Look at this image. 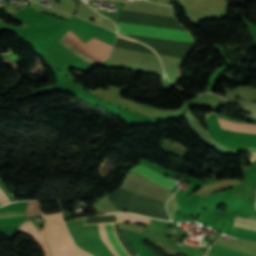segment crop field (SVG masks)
<instances>
[{"mask_svg":"<svg viewBox=\"0 0 256 256\" xmlns=\"http://www.w3.org/2000/svg\"><path fill=\"white\" fill-rule=\"evenodd\" d=\"M45 233L52 256H81L62 221V214L45 216Z\"/></svg>","mask_w":256,"mask_h":256,"instance_id":"1","label":"crop field"},{"mask_svg":"<svg viewBox=\"0 0 256 256\" xmlns=\"http://www.w3.org/2000/svg\"><path fill=\"white\" fill-rule=\"evenodd\" d=\"M121 33L194 43L187 30L118 21Z\"/></svg>","mask_w":256,"mask_h":256,"instance_id":"2","label":"crop field"},{"mask_svg":"<svg viewBox=\"0 0 256 256\" xmlns=\"http://www.w3.org/2000/svg\"><path fill=\"white\" fill-rule=\"evenodd\" d=\"M59 42L94 65L104 60L112 48L94 38L85 44L70 31Z\"/></svg>","mask_w":256,"mask_h":256,"instance_id":"3","label":"crop field"},{"mask_svg":"<svg viewBox=\"0 0 256 256\" xmlns=\"http://www.w3.org/2000/svg\"><path fill=\"white\" fill-rule=\"evenodd\" d=\"M236 227L256 231V221L236 216ZM234 227L233 237L242 238L256 242V232Z\"/></svg>","mask_w":256,"mask_h":256,"instance_id":"4","label":"crop field"},{"mask_svg":"<svg viewBox=\"0 0 256 256\" xmlns=\"http://www.w3.org/2000/svg\"><path fill=\"white\" fill-rule=\"evenodd\" d=\"M104 243L111 249L114 256H128L117 241L112 224L99 225Z\"/></svg>","mask_w":256,"mask_h":256,"instance_id":"5","label":"crop field"},{"mask_svg":"<svg viewBox=\"0 0 256 256\" xmlns=\"http://www.w3.org/2000/svg\"><path fill=\"white\" fill-rule=\"evenodd\" d=\"M132 170L138 172L139 174L153 180L156 183H159L169 189L171 186H173L176 182L164 177L163 175L153 171L152 169L140 164L133 168ZM174 180V179H173Z\"/></svg>","mask_w":256,"mask_h":256,"instance_id":"6","label":"crop field"},{"mask_svg":"<svg viewBox=\"0 0 256 256\" xmlns=\"http://www.w3.org/2000/svg\"><path fill=\"white\" fill-rule=\"evenodd\" d=\"M119 222H137L141 224L147 225L149 218L132 215V214H126V213H117Z\"/></svg>","mask_w":256,"mask_h":256,"instance_id":"7","label":"crop field"},{"mask_svg":"<svg viewBox=\"0 0 256 256\" xmlns=\"http://www.w3.org/2000/svg\"><path fill=\"white\" fill-rule=\"evenodd\" d=\"M214 245L211 246V248L209 249L208 252L218 254V255H221V256H251V255H248V254L232 251V250L225 249V248L218 247V246H214Z\"/></svg>","mask_w":256,"mask_h":256,"instance_id":"8","label":"crop field"},{"mask_svg":"<svg viewBox=\"0 0 256 256\" xmlns=\"http://www.w3.org/2000/svg\"><path fill=\"white\" fill-rule=\"evenodd\" d=\"M27 212H9L1 213L0 219L11 218V217H26Z\"/></svg>","mask_w":256,"mask_h":256,"instance_id":"9","label":"crop field"},{"mask_svg":"<svg viewBox=\"0 0 256 256\" xmlns=\"http://www.w3.org/2000/svg\"><path fill=\"white\" fill-rule=\"evenodd\" d=\"M9 199L4 195V193L0 190V205L5 203H9Z\"/></svg>","mask_w":256,"mask_h":256,"instance_id":"10","label":"crop field"},{"mask_svg":"<svg viewBox=\"0 0 256 256\" xmlns=\"http://www.w3.org/2000/svg\"><path fill=\"white\" fill-rule=\"evenodd\" d=\"M79 250L83 253L84 256H91V255H89L87 252L81 250L80 248H79ZM82 253H81V254H82Z\"/></svg>","mask_w":256,"mask_h":256,"instance_id":"11","label":"crop field"},{"mask_svg":"<svg viewBox=\"0 0 256 256\" xmlns=\"http://www.w3.org/2000/svg\"><path fill=\"white\" fill-rule=\"evenodd\" d=\"M117 37H122V36H119V35H118ZM123 38H125V37H123Z\"/></svg>","mask_w":256,"mask_h":256,"instance_id":"12","label":"crop field"}]
</instances>
